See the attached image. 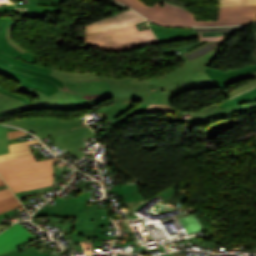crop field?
<instances>
[{
  "label": "crop field",
  "mask_w": 256,
  "mask_h": 256,
  "mask_svg": "<svg viewBox=\"0 0 256 256\" xmlns=\"http://www.w3.org/2000/svg\"><path fill=\"white\" fill-rule=\"evenodd\" d=\"M0 256H49L47 252L39 254L37 249L32 246L19 253L18 249L2 254Z\"/></svg>",
  "instance_id": "obj_28"
},
{
  "label": "crop field",
  "mask_w": 256,
  "mask_h": 256,
  "mask_svg": "<svg viewBox=\"0 0 256 256\" xmlns=\"http://www.w3.org/2000/svg\"><path fill=\"white\" fill-rule=\"evenodd\" d=\"M193 116L195 119L185 121L188 128L220 118L214 105L203 111L193 113Z\"/></svg>",
  "instance_id": "obj_20"
},
{
  "label": "crop field",
  "mask_w": 256,
  "mask_h": 256,
  "mask_svg": "<svg viewBox=\"0 0 256 256\" xmlns=\"http://www.w3.org/2000/svg\"><path fill=\"white\" fill-rule=\"evenodd\" d=\"M135 186H136V189H137L138 195L140 196L141 200H144V198H143V197H142V195L140 194V191H139V189H138L137 184H135Z\"/></svg>",
  "instance_id": "obj_45"
},
{
  "label": "crop field",
  "mask_w": 256,
  "mask_h": 256,
  "mask_svg": "<svg viewBox=\"0 0 256 256\" xmlns=\"http://www.w3.org/2000/svg\"><path fill=\"white\" fill-rule=\"evenodd\" d=\"M160 1H163V2H166V3H169V4H172V5H175V6L184 8V9H186L187 6H188L186 3H183V2H181V1H176V0H160Z\"/></svg>",
  "instance_id": "obj_35"
},
{
  "label": "crop field",
  "mask_w": 256,
  "mask_h": 256,
  "mask_svg": "<svg viewBox=\"0 0 256 256\" xmlns=\"http://www.w3.org/2000/svg\"><path fill=\"white\" fill-rule=\"evenodd\" d=\"M145 106H147V104L144 103H140L138 104L136 107H134L133 109H131L130 111L126 112L123 116L115 119L114 121H112V123L116 126L118 124H120L121 122L129 119L130 117H132L133 115H135L136 113H138L140 110H142Z\"/></svg>",
  "instance_id": "obj_30"
},
{
  "label": "crop field",
  "mask_w": 256,
  "mask_h": 256,
  "mask_svg": "<svg viewBox=\"0 0 256 256\" xmlns=\"http://www.w3.org/2000/svg\"><path fill=\"white\" fill-rule=\"evenodd\" d=\"M149 24L154 35L161 43L182 41L198 37V32H191V28H169L157 26L150 22Z\"/></svg>",
  "instance_id": "obj_15"
},
{
  "label": "crop field",
  "mask_w": 256,
  "mask_h": 256,
  "mask_svg": "<svg viewBox=\"0 0 256 256\" xmlns=\"http://www.w3.org/2000/svg\"><path fill=\"white\" fill-rule=\"evenodd\" d=\"M178 113L175 109H173L170 105H160V104H150L140 113Z\"/></svg>",
  "instance_id": "obj_27"
},
{
  "label": "crop field",
  "mask_w": 256,
  "mask_h": 256,
  "mask_svg": "<svg viewBox=\"0 0 256 256\" xmlns=\"http://www.w3.org/2000/svg\"><path fill=\"white\" fill-rule=\"evenodd\" d=\"M254 97H256V88H254L246 93H243L239 96H236L228 101L219 103L218 105L220 108L234 106V105L241 104L242 103L241 101H243V100L251 99Z\"/></svg>",
  "instance_id": "obj_24"
},
{
  "label": "crop field",
  "mask_w": 256,
  "mask_h": 256,
  "mask_svg": "<svg viewBox=\"0 0 256 256\" xmlns=\"http://www.w3.org/2000/svg\"><path fill=\"white\" fill-rule=\"evenodd\" d=\"M251 77H256V72L255 73H251V74H247V75H240V76H236V77H232V78H228L227 83L228 82H233V81H237L240 79H245V78H251ZM256 85V80L255 81H250L248 83H246L245 85L241 86L240 88H237L233 91H231V93L229 94L231 97L245 91L248 90L252 87H254Z\"/></svg>",
  "instance_id": "obj_23"
},
{
  "label": "crop field",
  "mask_w": 256,
  "mask_h": 256,
  "mask_svg": "<svg viewBox=\"0 0 256 256\" xmlns=\"http://www.w3.org/2000/svg\"><path fill=\"white\" fill-rule=\"evenodd\" d=\"M117 192V195H122L125 202L133 201V197L130 191V184L127 185H117L112 187V190H108L107 193Z\"/></svg>",
  "instance_id": "obj_26"
},
{
  "label": "crop field",
  "mask_w": 256,
  "mask_h": 256,
  "mask_svg": "<svg viewBox=\"0 0 256 256\" xmlns=\"http://www.w3.org/2000/svg\"><path fill=\"white\" fill-rule=\"evenodd\" d=\"M222 45V44H221ZM221 45L220 46H218V48H217V50H216V52H215V54H214V56H213V58H212V60L209 62V64H208V66H210V64L212 63V61H213V59H214V57H215V55H216V53H217V51L219 50V48L221 47Z\"/></svg>",
  "instance_id": "obj_44"
},
{
  "label": "crop field",
  "mask_w": 256,
  "mask_h": 256,
  "mask_svg": "<svg viewBox=\"0 0 256 256\" xmlns=\"http://www.w3.org/2000/svg\"><path fill=\"white\" fill-rule=\"evenodd\" d=\"M58 158L36 162L34 156L0 162V173L14 193L52 185L53 163Z\"/></svg>",
  "instance_id": "obj_3"
},
{
  "label": "crop field",
  "mask_w": 256,
  "mask_h": 256,
  "mask_svg": "<svg viewBox=\"0 0 256 256\" xmlns=\"http://www.w3.org/2000/svg\"><path fill=\"white\" fill-rule=\"evenodd\" d=\"M18 206H21V204L15 196L1 200L0 201V213H3L10 209L16 208Z\"/></svg>",
  "instance_id": "obj_29"
},
{
  "label": "crop field",
  "mask_w": 256,
  "mask_h": 256,
  "mask_svg": "<svg viewBox=\"0 0 256 256\" xmlns=\"http://www.w3.org/2000/svg\"><path fill=\"white\" fill-rule=\"evenodd\" d=\"M0 179H1V177H0Z\"/></svg>",
  "instance_id": "obj_50"
},
{
  "label": "crop field",
  "mask_w": 256,
  "mask_h": 256,
  "mask_svg": "<svg viewBox=\"0 0 256 256\" xmlns=\"http://www.w3.org/2000/svg\"><path fill=\"white\" fill-rule=\"evenodd\" d=\"M16 112H22V110L17 109V110L5 111V112L0 113V117L5 116L7 114H11V113H16Z\"/></svg>",
  "instance_id": "obj_41"
},
{
  "label": "crop field",
  "mask_w": 256,
  "mask_h": 256,
  "mask_svg": "<svg viewBox=\"0 0 256 256\" xmlns=\"http://www.w3.org/2000/svg\"><path fill=\"white\" fill-rule=\"evenodd\" d=\"M207 75L214 80V83L218 86V88L226 95L227 98H231L226 89V81L225 78L244 74V73H251L256 71V65L246 66L241 69L232 70V71H221L214 68L209 67L208 69L204 70Z\"/></svg>",
  "instance_id": "obj_17"
},
{
  "label": "crop field",
  "mask_w": 256,
  "mask_h": 256,
  "mask_svg": "<svg viewBox=\"0 0 256 256\" xmlns=\"http://www.w3.org/2000/svg\"><path fill=\"white\" fill-rule=\"evenodd\" d=\"M13 20L6 18V17H0V51L6 54H10L13 57H19L23 60L29 61L34 63L35 56L30 52H25L23 54L19 53L17 50H15L5 39V32L7 27L12 24Z\"/></svg>",
  "instance_id": "obj_18"
},
{
  "label": "crop field",
  "mask_w": 256,
  "mask_h": 256,
  "mask_svg": "<svg viewBox=\"0 0 256 256\" xmlns=\"http://www.w3.org/2000/svg\"><path fill=\"white\" fill-rule=\"evenodd\" d=\"M29 135L23 131L8 132V139Z\"/></svg>",
  "instance_id": "obj_36"
},
{
  "label": "crop field",
  "mask_w": 256,
  "mask_h": 256,
  "mask_svg": "<svg viewBox=\"0 0 256 256\" xmlns=\"http://www.w3.org/2000/svg\"><path fill=\"white\" fill-rule=\"evenodd\" d=\"M10 196H13V193L10 191L9 188L0 190V200Z\"/></svg>",
  "instance_id": "obj_38"
},
{
  "label": "crop field",
  "mask_w": 256,
  "mask_h": 256,
  "mask_svg": "<svg viewBox=\"0 0 256 256\" xmlns=\"http://www.w3.org/2000/svg\"><path fill=\"white\" fill-rule=\"evenodd\" d=\"M162 256H178V254H177V252H174V253H169V254L162 255Z\"/></svg>",
  "instance_id": "obj_43"
},
{
  "label": "crop field",
  "mask_w": 256,
  "mask_h": 256,
  "mask_svg": "<svg viewBox=\"0 0 256 256\" xmlns=\"http://www.w3.org/2000/svg\"><path fill=\"white\" fill-rule=\"evenodd\" d=\"M36 238L20 224L15 223L0 234V254L16 249V247Z\"/></svg>",
  "instance_id": "obj_14"
},
{
  "label": "crop field",
  "mask_w": 256,
  "mask_h": 256,
  "mask_svg": "<svg viewBox=\"0 0 256 256\" xmlns=\"http://www.w3.org/2000/svg\"><path fill=\"white\" fill-rule=\"evenodd\" d=\"M246 26L241 27H224V28H192V31H199L202 34H232Z\"/></svg>",
  "instance_id": "obj_22"
},
{
  "label": "crop field",
  "mask_w": 256,
  "mask_h": 256,
  "mask_svg": "<svg viewBox=\"0 0 256 256\" xmlns=\"http://www.w3.org/2000/svg\"><path fill=\"white\" fill-rule=\"evenodd\" d=\"M216 48L197 59L185 62V66L162 78H149L157 100L153 103L170 104L174 96L186 91L217 87L203 71ZM191 81V83H189Z\"/></svg>",
  "instance_id": "obj_2"
},
{
  "label": "crop field",
  "mask_w": 256,
  "mask_h": 256,
  "mask_svg": "<svg viewBox=\"0 0 256 256\" xmlns=\"http://www.w3.org/2000/svg\"><path fill=\"white\" fill-rule=\"evenodd\" d=\"M88 202H76L70 204L54 205L51 207H46L44 209H39V211L33 217H45L56 215L61 216H76V212L85 211L88 207Z\"/></svg>",
  "instance_id": "obj_16"
},
{
  "label": "crop field",
  "mask_w": 256,
  "mask_h": 256,
  "mask_svg": "<svg viewBox=\"0 0 256 256\" xmlns=\"http://www.w3.org/2000/svg\"><path fill=\"white\" fill-rule=\"evenodd\" d=\"M0 92H3V93H5V94H7V95H9V96L14 97V98L20 99V100H22L23 102H25L26 104L32 103V102L29 101L28 99H26V98H24V97H21V96L14 95V94H12V93H10V92L4 90V89H1V88H0Z\"/></svg>",
  "instance_id": "obj_37"
},
{
  "label": "crop field",
  "mask_w": 256,
  "mask_h": 256,
  "mask_svg": "<svg viewBox=\"0 0 256 256\" xmlns=\"http://www.w3.org/2000/svg\"><path fill=\"white\" fill-rule=\"evenodd\" d=\"M39 143L40 142L38 140H34V141H27V142L11 144V145H9L11 153L1 155L0 161L33 155L30 150L29 145L39 144Z\"/></svg>",
  "instance_id": "obj_19"
},
{
  "label": "crop field",
  "mask_w": 256,
  "mask_h": 256,
  "mask_svg": "<svg viewBox=\"0 0 256 256\" xmlns=\"http://www.w3.org/2000/svg\"><path fill=\"white\" fill-rule=\"evenodd\" d=\"M141 21H145V19L137 15L135 12L127 10L112 17H108L103 20L85 25L84 33L85 35L93 34L134 24Z\"/></svg>",
  "instance_id": "obj_10"
},
{
  "label": "crop field",
  "mask_w": 256,
  "mask_h": 256,
  "mask_svg": "<svg viewBox=\"0 0 256 256\" xmlns=\"http://www.w3.org/2000/svg\"><path fill=\"white\" fill-rule=\"evenodd\" d=\"M5 123L15 125L26 130H34L37 136L71 129L85 124L80 117L70 121L50 118H32L13 120L10 123L9 121Z\"/></svg>",
  "instance_id": "obj_9"
},
{
  "label": "crop field",
  "mask_w": 256,
  "mask_h": 256,
  "mask_svg": "<svg viewBox=\"0 0 256 256\" xmlns=\"http://www.w3.org/2000/svg\"><path fill=\"white\" fill-rule=\"evenodd\" d=\"M7 127L0 126V154L8 153Z\"/></svg>",
  "instance_id": "obj_31"
},
{
  "label": "crop field",
  "mask_w": 256,
  "mask_h": 256,
  "mask_svg": "<svg viewBox=\"0 0 256 256\" xmlns=\"http://www.w3.org/2000/svg\"><path fill=\"white\" fill-rule=\"evenodd\" d=\"M96 205H89L88 211L77 213L74 231L70 234L74 242H80L94 237Z\"/></svg>",
  "instance_id": "obj_13"
},
{
  "label": "crop field",
  "mask_w": 256,
  "mask_h": 256,
  "mask_svg": "<svg viewBox=\"0 0 256 256\" xmlns=\"http://www.w3.org/2000/svg\"><path fill=\"white\" fill-rule=\"evenodd\" d=\"M140 14L165 25H230L244 24L256 20V5L219 8L218 20H195V14L184 9L158 1L148 6L140 0H116Z\"/></svg>",
  "instance_id": "obj_1"
},
{
  "label": "crop field",
  "mask_w": 256,
  "mask_h": 256,
  "mask_svg": "<svg viewBox=\"0 0 256 256\" xmlns=\"http://www.w3.org/2000/svg\"><path fill=\"white\" fill-rule=\"evenodd\" d=\"M0 75L12 78L23 86L37 89L50 96L59 90H62L63 83L57 78L37 72L27 71L0 59Z\"/></svg>",
  "instance_id": "obj_7"
},
{
  "label": "crop field",
  "mask_w": 256,
  "mask_h": 256,
  "mask_svg": "<svg viewBox=\"0 0 256 256\" xmlns=\"http://www.w3.org/2000/svg\"><path fill=\"white\" fill-rule=\"evenodd\" d=\"M95 136L92 130L86 126L82 129L71 131L62 135L52 137L57 141L65 150H67L72 156L79 158L85 155L78 148L85 145L82 140ZM53 141V142H55ZM51 143V142H49ZM48 144V143H45Z\"/></svg>",
  "instance_id": "obj_12"
},
{
  "label": "crop field",
  "mask_w": 256,
  "mask_h": 256,
  "mask_svg": "<svg viewBox=\"0 0 256 256\" xmlns=\"http://www.w3.org/2000/svg\"><path fill=\"white\" fill-rule=\"evenodd\" d=\"M230 35H203L199 36L200 41H209L200 48L206 53L220 45Z\"/></svg>",
  "instance_id": "obj_21"
},
{
  "label": "crop field",
  "mask_w": 256,
  "mask_h": 256,
  "mask_svg": "<svg viewBox=\"0 0 256 256\" xmlns=\"http://www.w3.org/2000/svg\"><path fill=\"white\" fill-rule=\"evenodd\" d=\"M84 41L90 46L106 51L131 49L159 42L151 30L138 32L135 24L88 35Z\"/></svg>",
  "instance_id": "obj_5"
},
{
  "label": "crop field",
  "mask_w": 256,
  "mask_h": 256,
  "mask_svg": "<svg viewBox=\"0 0 256 256\" xmlns=\"http://www.w3.org/2000/svg\"><path fill=\"white\" fill-rule=\"evenodd\" d=\"M84 126H86V125H84ZM84 126H80V127L74 128V129L82 128ZM74 129H71V130H74ZM71 130H67V131H63V132H59V133H54V134H48V135L40 136V138L48 137V136H53V135H57V134H61V133H65V132H68V131H71Z\"/></svg>",
  "instance_id": "obj_42"
},
{
  "label": "crop field",
  "mask_w": 256,
  "mask_h": 256,
  "mask_svg": "<svg viewBox=\"0 0 256 256\" xmlns=\"http://www.w3.org/2000/svg\"><path fill=\"white\" fill-rule=\"evenodd\" d=\"M1 185H6L3 180H0V186Z\"/></svg>",
  "instance_id": "obj_49"
},
{
  "label": "crop field",
  "mask_w": 256,
  "mask_h": 256,
  "mask_svg": "<svg viewBox=\"0 0 256 256\" xmlns=\"http://www.w3.org/2000/svg\"><path fill=\"white\" fill-rule=\"evenodd\" d=\"M14 130H18V129H14V128H9L8 127V131H14Z\"/></svg>",
  "instance_id": "obj_47"
},
{
  "label": "crop field",
  "mask_w": 256,
  "mask_h": 256,
  "mask_svg": "<svg viewBox=\"0 0 256 256\" xmlns=\"http://www.w3.org/2000/svg\"><path fill=\"white\" fill-rule=\"evenodd\" d=\"M0 57L7 60L12 65H15L27 70H31V71L51 74L57 77L58 79L64 81L65 83L98 80L97 74L65 73V72L55 71L51 69H46V68L38 67L35 64H31L29 62L23 61L19 58L15 59L1 52H0Z\"/></svg>",
  "instance_id": "obj_11"
},
{
  "label": "crop field",
  "mask_w": 256,
  "mask_h": 256,
  "mask_svg": "<svg viewBox=\"0 0 256 256\" xmlns=\"http://www.w3.org/2000/svg\"><path fill=\"white\" fill-rule=\"evenodd\" d=\"M179 191L177 190V188L173 185L170 188H168L167 190L157 194L156 196H161L164 200H168L170 199L172 196H174L176 193H178Z\"/></svg>",
  "instance_id": "obj_34"
},
{
  "label": "crop field",
  "mask_w": 256,
  "mask_h": 256,
  "mask_svg": "<svg viewBox=\"0 0 256 256\" xmlns=\"http://www.w3.org/2000/svg\"><path fill=\"white\" fill-rule=\"evenodd\" d=\"M16 22L14 21L13 24L11 26H9L8 30H7V33H6V38L8 40V42L15 48L17 49L18 51L20 52H25L27 50L23 49L21 46H19L15 41L14 39L12 38L11 36V33H12V30L15 26Z\"/></svg>",
  "instance_id": "obj_33"
},
{
  "label": "crop field",
  "mask_w": 256,
  "mask_h": 256,
  "mask_svg": "<svg viewBox=\"0 0 256 256\" xmlns=\"http://www.w3.org/2000/svg\"><path fill=\"white\" fill-rule=\"evenodd\" d=\"M8 226V225H7ZM7 226H0V231H2L4 228H6Z\"/></svg>",
  "instance_id": "obj_48"
},
{
  "label": "crop field",
  "mask_w": 256,
  "mask_h": 256,
  "mask_svg": "<svg viewBox=\"0 0 256 256\" xmlns=\"http://www.w3.org/2000/svg\"><path fill=\"white\" fill-rule=\"evenodd\" d=\"M249 102H256V98L248 100V101H244L243 103H249Z\"/></svg>",
  "instance_id": "obj_46"
},
{
  "label": "crop field",
  "mask_w": 256,
  "mask_h": 256,
  "mask_svg": "<svg viewBox=\"0 0 256 256\" xmlns=\"http://www.w3.org/2000/svg\"><path fill=\"white\" fill-rule=\"evenodd\" d=\"M199 43H201V42H196V43L184 46V47H179V48H174V49H170V50H165V52H174V51H178V50H182V49L191 48V47H193V46H195V45H197Z\"/></svg>",
  "instance_id": "obj_39"
},
{
  "label": "crop field",
  "mask_w": 256,
  "mask_h": 256,
  "mask_svg": "<svg viewBox=\"0 0 256 256\" xmlns=\"http://www.w3.org/2000/svg\"><path fill=\"white\" fill-rule=\"evenodd\" d=\"M16 89L31 93L32 95L37 96L41 102L26 105L22 101L16 100L14 98H11L9 96H6L0 93V111L17 109V108H21L23 112L31 109H53V110L70 111L67 104V99L63 91H59L58 93L48 97L34 89L23 87L20 85Z\"/></svg>",
  "instance_id": "obj_8"
},
{
  "label": "crop field",
  "mask_w": 256,
  "mask_h": 256,
  "mask_svg": "<svg viewBox=\"0 0 256 256\" xmlns=\"http://www.w3.org/2000/svg\"><path fill=\"white\" fill-rule=\"evenodd\" d=\"M256 108V103H249V104H242L234 107H229V108H223L217 110L221 119L225 118L224 116L230 115V114H237L240 111L243 110H250V109H255Z\"/></svg>",
  "instance_id": "obj_25"
},
{
  "label": "crop field",
  "mask_w": 256,
  "mask_h": 256,
  "mask_svg": "<svg viewBox=\"0 0 256 256\" xmlns=\"http://www.w3.org/2000/svg\"><path fill=\"white\" fill-rule=\"evenodd\" d=\"M99 80L110 81L114 104L98 109L110 121L140 102L149 104L156 100L148 78L137 80L135 76L126 78L99 76Z\"/></svg>",
  "instance_id": "obj_4"
},
{
  "label": "crop field",
  "mask_w": 256,
  "mask_h": 256,
  "mask_svg": "<svg viewBox=\"0 0 256 256\" xmlns=\"http://www.w3.org/2000/svg\"><path fill=\"white\" fill-rule=\"evenodd\" d=\"M256 4V0H219V7Z\"/></svg>",
  "instance_id": "obj_32"
},
{
  "label": "crop field",
  "mask_w": 256,
  "mask_h": 256,
  "mask_svg": "<svg viewBox=\"0 0 256 256\" xmlns=\"http://www.w3.org/2000/svg\"><path fill=\"white\" fill-rule=\"evenodd\" d=\"M9 11H15L14 5L0 6V12H9Z\"/></svg>",
  "instance_id": "obj_40"
},
{
  "label": "crop field",
  "mask_w": 256,
  "mask_h": 256,
  "mask_svg": "<svg viewBox=\"0 0 256 256\" xmlns=\"http://www.w3.org/2000/svg\"><path fill=\"white\" fill-rule=\"evenodd\" d=\"M69 86V88H67ZM64 93L72 110L86 108L112 98L109 82L93 81L64 84ZM83 97V98H81Z\"/></svg>",
  "instance_id": "obj_6"
}]
</instances>
